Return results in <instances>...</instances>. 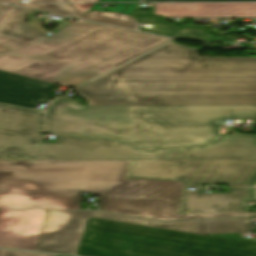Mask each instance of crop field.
<instances>
[{"label":"crop field","instance_id":"obj_1","mask_svg":"<svg viewBox=\"0 0 256 256\" xmlns=\"http://www.w3.org/2000/svg\"><path fill=\"white\" fill-rule=\"evenodd\" d=\"M42 159H128L125 179L183 182L179 213L246 212L256 187L204 194L200 185H256V136L224 135L200 147L146 152L116 139L57 136L42 143ZM193 185L196 190L187 191Z\"/></svg>","mask_w":256,"mask_h":256},{"label":"crop field","instance_id":"obj_2","mask_svg":"<svg viewBox=\"0 0 256 256\" xmlns=\"http://www.w3.org/2000/svg\"><path fill=\"white\" fill-rule=\"evenodd\" d=\"M128 160H0V207L80 209L82 192L100 194L101 211L164 221L256 216L176 215L182 183L124 180Z\"/></svg>","mask_w":256,"mask_h":256},{"label":"crop field","instance_id":"obj_3","mask_svg":"<svg viewBox=\"0 0 256 256\" xmlns=\"http://www.w3.org/2000/svg\"><path fill=\"white\" fill-rule=\"evenodd\" d=\"M171 42L76 90L93 105L256 104V57H194Z\"/></svg>","mask_w":256,"mask_h":256},{"label":"crop field","instance_id":"obj_4","mask_svg":"<svg viewBox=\"0 0 256 256\" xmlns=\"http://www.w3.org/2000/svg\"><path fill=\"white\" fill-rule=\"evenodd\" d=\"M225 119L256 124V105L83 107L60 97L44 113V133L116 138L153 151L218 140L215 122Z\"/></svg>","mask_w":256,"mask_h":256},{"label":"crop field","instance_id":"obj_5","mask_svg":"<svg viewBox=\"0 0 256 256\" xmlns=\"http://www.w3.org/2000/svg\"><path fill=\"white\" fill-rule=\"evenodd\" d=\"M169 40L78 20L0 57V70L74 87Z\"/></svg>","mask_w":256,"mask_h":256},{"label":"crop field","instance_id":"obj_6","mask_svg":"<svg viewBox=\"0 0 256 256\" xmlns=\"http://www.w3.org/2000/svg\"><path fill=\"white\" fill-rule=\"evenodd\" d=\"M76 255L256 256V244L90 218Z\"/></svg>","mask_w":256,"mask_h":256},{"label":"crop field","instance_id":"obj_7","mask_svg":"<svg viewBox=\"0 0 256 256\" xmlns=\"http://www.w3.org/2000/svg\"><path fill=\"white\" fill-rule=\"evenodd\" d=\"M89 217L201 235L253 232L249 218L164 223L93 211L66 212L48 210L37 251L75 255Z\"/></svg>","mask_w":256,"mask_h":256},{"label":"crop field","instance_id":"obj_8","mask_svg":"<svg viewBox=\"0 0 256 256\" xmlns=\"http://www.w3.org/2000/svg\"><path fill=\"white\" fill-rule=\"evenodd\" d=\"M0 159H41V112L0 104Z\"/></svg>","mask_w":256,"mask_h":256},{"label":"crop field","instance_id":"obj_9","mask_svg":"<svg viewBox=\"0 0 256 256\" xmlns=\"http://www.w3.org/2000/svg\"><path fill=\"white\" fill-rule=\"evenodd\" d=\"M46 211L0 209V247L34 251Z\"/></svg>","mask_w":256,"mask_h":256},{"label":"crop field","instance_id":"obj_10","mask_svg":"<svg viewBox=\"0 0 256 256\" xmlns=\"http://www.w3.org/2000/svg\"><path fill=\"white\" fill-rule=\"evenodd\" d=\"M59 85L0 71V103L36 109L56 97Z\"/></svg>","mask_w":256,"mask_h":256},{"label":"crop field","instance_id":"obj_11","mask_svg":"<svg viewBox=\"0 0 256 256\" xmlns=\"http://www.w3.org/2000/svg\"><path fill=\"white\" fill-rule=\"evenodd\" d=\"M155 14L165 17H256V3L155 4Z\"/></svg>","mask_w":256,"mask_h":256},{"label":"crop field","instance_id":"obj_12","mask_svg":"<svg viewBox=\"0 0 256 256\" xmlns=\"http://www.w3.org/2000/svg\"><path fill=\"white\" fill-rule=\"evenodd\" d=\"M31 10L0 5V37L31 44L43 38V34L23 22V16Z\"/></svg>","mask_w":256,"mask_h":256},{"label":"crop field","instance_id":"obj_13","mask_svg":"<svg viewBox=\"0 0 256 256\" xmlns=\"http://www.w3.org/2000/svg\"><path fill=\"white\" fill-rule=\"evenodd\" d=\"M16 5H21L25 7L35 8L39 10L66 15V16L86 19L90 21L136 29L135 17H128V16L116 14V13L93 12V13H89L88 15H84L79 11L75 10L74 8H72L68 4H16Z\"/></svg>","mask_w":256,"mask_h":256},{"label":"crop field","instance_id":"obj_14","mask_svg":"<svg viewBox=\"0 0 256 256\" xmlns=\"http://www.w3.org/2000/svg\"><path fill=\"white\" fill-rule=\"evenodd\" d=\"M26 45L27 44L15 42L11 39L0 38V56H3Z\"/></svg>","mask_w":256,"mask_h":256},{"label":"crop field","instance_id":"obj_15","mask_svg":"<svg viewBox=\"0 0 256 256\" xmlns=\"http://www.w3.org/2000/svg\"><path fill=\"white\" fill-rule=\"evenodd\" d=\"M138 21L139 23H158L156 28L151 32L154 34H159L161 31L171 25L169 23L163 22L159 17H138Z\"/></svg>","mask_w":256,"mask_h":256},{"label":"crop field","instance_id":"obj_16","mask_svg":"<svg viewBox=\"0 0 256 256\" xmlns=\"http://www.w3.org/2000/svg\"><path fill=\"white\" fill-rule=\"evenodd\" d=\"M0 256H55V255L0 249Z\"/></svg>","mask_w":256,"mask_h":256},{"label":"crop field","instance_id":"obj_17","mask_svg":"<svg viewBox=\"0 0 256 256\" xmlns=\"http://www.w3.org/2000/svg\"><path fill=\"white\" fill-rule=\"evenodd\" d=\"M138 5L139 4H117L114 11L128 15H135Z\"/></svg>","mask_w":256,"mask_h":256},{"label":"crop field","instance_id":"obj_18","mask_svg":"<svg viewBox=\"0 0 256 256\" xmlns=\"http://www.w3.org/2000/svg\"><path fill=\"white\" fill-rule=\"evenodd\" d=\"M142 1H256V0H142Z\"/></svg>","mask_w":256,"mask_h":256},{"label":"crop field","instance_id":"obj_19","mask_svg":"<svg viewBox=\"0 0 256 256\" xmlns=\"http://www.w3.org/2000/svg\"><path fill=\"white\" fill-rule=\"evenodd\" d=\"M0 2H20V0H0ZM31 2H66V0H31Z\"/></svg>","mask_w":256,"mask_h":256},{"label":"crop field","instance_id":"obj_20","mask_svg":"<svg viewBox=\"0 0 256 256\" xmlns=\"http://www.w3.org/2000/svg\"><path fill=\"white\" fill-rule=\"evenodd\" d=\"M72 5L76 7L79 11L85 13L94 4H72Z\"/></svg>","mask_w":256,"mask_h":256},{"label":"crop field","instance_id":"obj_21","mask_svg":"<svg viewBox=\"0 0 256 256\" xmlns=\"http://www.w3.org/2000/svg\"><path fill=\"white\" fill-rule=\"evenodd\" d=\"M102 4H95L92 8H90L87 12L91 11V10H109V11H113L114 9H100Z\"/></svg>","mask_w":256,"mask_h":256},{"label":"crop field","instance_id":"obj_22","mask_svg":"<svg viewBox=\"0 0 256 256\" xmlns=\"http://www.w3.org/2000/svg\"><path fill=\"white\" fill-rule=\"evenodd\" d=\"M98 0H69V2H97Z\"/></svg>","mask_w":256,"mask_h":256},{"label":"crop field","instance_id":"obj_23","mask_svg":"<svg viewBox=\"0 0 256 256\" xmlns=\"http://www.w3.org/2000/svg\"><path fill=\"white\" fill-rule=\"evenodd\" d=\"M105 1H139V0H99L98 2H105Z\"/></svg>","mask_w":256,"mask_h":256},{"label":"crop field","instance_id":"obj_24","mask_svg":"<svg viewBox=\"0 0 256 256\" xmlns=\"http://www.w3.org/2000/svg\"><path fill=\"white\" fill-rule=\"evenodd\" d=\"M56 256H63V255H56Z\"/></svg>","mask_w":256,"mask_h":256}]
</instances>
